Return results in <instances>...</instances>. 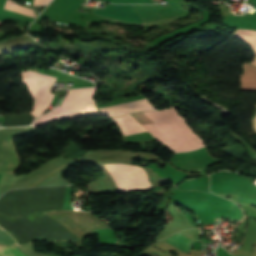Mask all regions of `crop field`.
Instances as JSON below:
<instances>
[{"label": "crop field", "instance_id": "1", "mask_svg": "<svg viewBox=\"0 0 256 256\" xmlns=\"http://www.w3.org/2000/svg\"><path fill=\"white\" fill-rule=\"evenodd\" d=\"M144 114L155 124L142 126L174 153L192 151L205 146L203 140L192 132L188 123L174 107L159 113Z\"/></svg>", "mask_w": 256, "mask_h": 256}, {"label": "crop field", "instance_id": "2", "mask_svg": "<svg viewBox=\"0 0 256 256\" xmlns=\"http://www.w3.org/2000/svg\"><path fill=\"white\" fill-rule=\"evenodd\" d=\"M96 88L70 90L61 106L35 119L33 125H43L60 119H73L85 115H98L93 101Z\"/></svg>", "mask_w": 256, "mask_h": 256}, {"label": "crop field", "instance_id": "3", "mask_svg": "<svg viewBox=\"0 0 256 256\" xmlns=\"http://www.w3.org/2000/svg\"><path fill=\"white\" fill-rule=\"evenodd\" d=\"M104 166L117 192L150 191L153 188L140 167L126 164Z\"/></svg>", "mask_w": 256, "mask_h": 256}, {"label": "crop field", "instance_id": "4", "mask_svg": "<svg viewBox=\"0 0 256 256\" xmlns=\"http://www.w3.org/2000/svg\"><path fill=\"white\" fill-rule=\"evenodd\" d=\"M23 84L27 86L34 97V108L30 112L35 117L41 115L50 104L54 95L49 94L55 78L27 71L23 72Z\"/></svg>", "mask_w": 256, "mask_h": 256}, {"label": "crop field", "instance_id": "5", "mask_svg": "<svg viewBox=\"0 0 256 256\" xmlns=\"http://www.w3.org/2000/svg\"><path fill=\"white\" fill-rule=\"evenodd\" d=\"M28 127L0 129V171L13 172L18 168L19 158L10 137L28 132Z\"/></svg>", "mask_w": 256, "mask_h": 256}, {"label": "crop field", "instance_id": "6", "mask_svg": "<svg viewBox=\"0 0 256 256\" xmlns=\"http://www.w3.org/2000/svg\"><path fill=\"white\" fill-rule=\"evenodd\" d=\"M94 13L107 17L117 18L119 20H128L142 23L139 16L133 12L131 5L107 4L104 10L95 9Z\"/></svg>", "mask_w": 256, "mask_h": 256}, {"label": "crop field", "instance_id": "7", "mask_svg": "<svg viewBox=\"0 0 256 256\" xmlns=\"http://www.w3.org/2000/svg\"><path fill=\"white\" fill-rule=\"evenodd\" d=\"M164 240L171 243L172 245L180 248L181 250H183L187 253L190 252V248H191L192 244L194 243L178 232Z\"/></svg>", "mask_w": 256, "mask_h": 256}, {"label": "crop field", "instance_id": "8", "mask_svg": "<svg viewBox=\"0 0 256 256\" xmlns=\"http://www.w3.org/2000/svg\"><path fill=\"white\" fill-rule=\"evenodd\" d=\"M233 36L238 37L240 39H244V40L256 41V31H253V30L238 29L234 32ZM244 40L242 41L245 42L247 45L251 46L256 54V42H250V41H244ZM251 63L256 66V57Z\"/></svg>", "mask_w": 256, "mask_h": 256}, {"label": "crop field", "instance_id": "9", "mask_svg": "<svg viewBox=\"0 0 256 256\" xmlns=\"http://www.w3.org/2000/svg\"><path fill=\"white\" fill-rule=\"evenodd\" d=\"M4 9L36 16L31 8L26 7L24 5H21V4H19L17 2H14L12 0H7V3L5 5ZM1 24H2V22H0V25Z\"/></svg>", "mask_w": 256, "mask_h": 256}, {"label": "crop field", "instance_id": "10", "mask_svg": "<svg viewBox=\"0 0 256 256\" xmlns=\"http://www.w3.org/2000/svg\"><path fill=\"white\" fill-rule=\"evenodd\" d=\"M0 256H25L16 247L0 245Z\"/></svg>", "mask_w": 256, "mask_h": 256}, {"label": "crop field", "instance_id": "11", "mask_svg": "<svg viewBox=\"0 0 256 256\" xmlns=\"http://www.w3.org/2000/svg\"><path fill=\"white\" fill-rule=\"evenodd\" d=\"M0 243L18 246L14 239H12L2 228H0Z\"/></svg>", "mask_w": 256, "mask_h": 256}, {"label": "crop field", "instance_id": "12", "mask_svg": "<svg viewBox=\"0 0 256 256\" xmlns=\"http://www.w3.org/2000/svg\"><path fill=\"white\" fill-rule=\"evenodd\" d=\"M51 0H34V6L48 5Z\"/></svg>", "mask_w": 256, "mask_h": 256}, {"label": "crop field", "instance_id": "13", "mask_svg": "<svg viewBox=\"0 0 256 256\" xmlns=\"http://www.w3.org/2000/svg\"><path fill=\"white\" fill-rule=\"evenodd\" d=\"M151 106H152V104L147 100V99H145ZM153 107V106H152ZM154 108V107H153ZM155 109V108H154ZM156 110V109H155ZM103 116H108V115H103ZM119 116H122V115H119Z\"/></svg>", "mask_w": 256, "mask_h": 256}, {"label": "crop field", "instance_id": "14", "mask_svg": "<svg viewBox=\"0 0 256 256\" xmlns=\"http://www.w3.org/2000/svg\"><path fill=\"white\" fill-rule=\"evenodd\" d=\"M113 120L116 122V120H115V118H113ZM116 124H117V122H116ZM118 125V124H117ZM119 127V126H118ZM119 129H120V127H119ZM120 131H121V129H120ZM121 133H122V131H121ZM122 135H123V133H122Z\"/></svg>", "mask_w": 256, "mask_h": 256}, {"label": "crop field", "instance_id": "15", "mask_svg": "<svg viewBox=\"0 0 256 256\" xmlns=\"http://www.w3.org/2000/svg\"><path fill=\"white\" fill-rule=\"evenodd\" d=\"M254 125H255V128H256V117H255V119H254Z\"/></svg>", "mask_w": 256, "mask_h": 256}, {"label": "crop field", "instance_id": "16", "mask_svg": "<svg viewBox=\"0 0 256 256\" xmlns=\"http://www.w3.org/2000/svg\"><path fill=\"white\" fill-rule=\"evenodd\" d=\"M2 174H3V173H0V179H1Z\"/></svg>", "mask_w": 256, "mask_h": 256}]
</instances>
